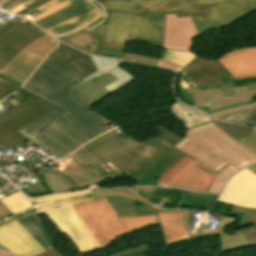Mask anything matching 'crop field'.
<instances>
[{"mask_svg": "<svg viewBox=\"0 0 256 256\" xmlns=\"http://www.w3.org/2000/svg\"><path fill=\"white\" fill-rule=\"evenodd\" d=\"M71 239L80 254L107 247L129 233L107 197L46 213Z\"/></svg>", "mask_w": 256, "mask_h": 256, "instance_id": "obj_1", "label": "crop field"}, {"mask_svg": "<svg viewBox=\"0 0 256 256\" xmlns=\"http://www.w3.org/2000/svg\"><path fill=\"white\" fill-rule=\"evenodd\" d=\"M186 134L184 140L175 147L219 172L210 192L219 193L233 173L256 162L254 153L238 141L235 142L212 122L189 129Z\"/></svg>", "mask_w": 256, "mask_h": 256, "instance_id": "obj_2", "label": "crop field"}, {"mask_svg": "<svg viewBox=\"0 0 256 256\" xmlns=\"http://www.w3.org/2000/svg\"><path fill=\"white\" fill-rule=\"evenodd\" d=\"M81 83L83 80L72 71L45 59L23 87L66 108L102 134L111 130L107 125L112 121L94 112L88 100L72 89Z\"/></svg>", "mask_w": 256, "mask_h": 256, "instance_id": "obj_3", "label": "crop field"}, {"mask_svg": "<svg viewBox=\"0 0 256 256\" xmlns=\"http://www.w3.org/2000/svg\"><path fill=\"white\" fill-rule=\"evenodd\" d=\"M165 15L107 13L101 47L124 51L130 41L145 40L162 48Z\"/></svg>", "mask_w": 256, "mask_h": 256, "instance_id": "obj_4", "label": "crop field"}, {"mask_svg": "<svg viewBox=\"0 0 256 256\" xmlns=\"http://www.w3.org/2000/svg\"><path fill=\"white\" fill-rule=\"evenodd\" d=\"M173 190V189H169ZM163 188H114L92 190L95 198L108 196L119 218L150 215L162 211H184V225L191 239L198 238V234H204L201 228H207L203 225L198 226L194 233H191V227L187 225L190 217L187 208H163L164 203H168V198L160 197L164 195ZM199 237V238H203Z\"/></svg>", "mask_w": 256, "mask_h": 256, "instance_id": "obj_5", "label": "crop field"}, {"mask_svg": "<svg viewBox=\"0 0 256 256\" xmlns=\"http://www.w3.org/2000/svg\"><path fill=\"white\" fill-rule=\"evenodd\" d=\"M100 135L102 134L68 112L29 139L65 158Z\"/></svg>", "mask_w": 256, "mask_h": 256, "instance_id": "obj_6", "label": "crop field"}, {"mask_svg": "<svg viewBox=\"0 0 256 256\" xmlns=\"http://www.w3.org/2000/svg\"><path fill=\"white\" fill-rule=\"evenodd\" d=\"M155 130L162 134L143 142L144 145L134 150L154 163L134 180L136 185H156L158 180L178 161L185 156L191 158L173 147L183 138L163 125L157 126Z\"/></svg>", "mask_w": 256, "mask_h": 256, "instance_id": "obj_7", "label": "crop field"}, {"mask_svg": "<svg viewBox=\"0 0 256 256\" xmlns=\"http://www.w3.org/2000/svg\"><path fill=\"white\" fill-rule=\"evenodd\" d=\"M202 15L192 16L199 35L222 29L256 11V0H229L212 6H199Z\"/></svg>", "mask_w": 256, "mask_h": 256, "instance_id": "obj_8", "label": "crop field"}, {"mask_svg": "<svg viewBox=\"0 0 256 256\" xmlns=\"http://www.w3.org/2000/svg\"><path fill=\"white\" fill-rule=\"evenodd\" d=\"M141 145L142 143L129 137L122 139L112 130L88 142L74 153L93 167L115 160Z\"/></svg>", "mask_w": 256, "mask_h": 256, "instance_id": "obj_9", "label": "crop field"}, {"mask_svg": "<svg viewBox=\"0 0 256 256\" xmlns=\"http://www.w3.org/2000/svg\"><path fill=\"white\" fill-rule=\"evenodd\" d=\"M100 3L106 12L177 13L178 17L201 14L191 0H112Z\"/></svg>", "mask_w": 256, "mask_h": 256, "instance_id": "obj_10", "label": "crop field"}, {"mask_svg": "<svg viewBox=\"0 0 256 256\" xmlns=\"http://www.w3.org/2000/svg\"><path fill=\"white\" fill-rule=\"evenodd\" d=\"M217 173L185 157L160 179L158 185L207 191Z\"/></svg>", "mask_w": 256, "mask_h": 256, "instance_id": "obj_11", "label": "crop field"}, {"mask_svg": "<svg viewBox=\"0 0 256 256\" xmlns=\"http://www.w3.org/2000/svg\"><path fill=\"white\" fill-rule=\"evenodd\" d=\"M34 25L11 19L0 27V70L24 47L43 35Z\"/></svg>", "mask_w": 256, "mask_h": 256, "instance_id": "obj_12", "label": "crop field"}, {"mask_svg": "<svg viewBox=\"0 0 256 256\" xmlns=\"http://www.w3.org/2000/svg\"><path fill=\"white\" fill-rule=\"evenodd\" d=\"M56 47V41L45 34L24 48L1 72L24 82Z\"/></svg>", "mask_w": 256, "mask_h": 256, "instance_id": "obj_13", "label": "crop field"}, {"mask_svg": "<svg viewBox=\"0 0 256 256\" xmlns=\"http://www.w3.org/2000/svg\"><path fill=\"white\" fill-rule=\"evenodd\" d=\"M55 106L41 99L24 111L0 122V146L10 149L27 139L16 130L42 116Z\"/></svg>", "mask_w": 256, "mask_h": 256, "instance_id": "obj_14", "label": "crop field"}, {"mask_svg": "<svg viewBox=\"0 0 256 256\" xmlns=\"http://www.w3.org/2000/svg\"><path fill=\"white\" fill-rule=\"evenodd\" d=\"M0 247L17 256H36L45 251L16 220L0 226Z\"/></svg>", "mask_w": 256, "mask_h": 256, "instance_id": "obj_15", "label": "crop field"}, {"mask_svg": "<svg viewBox=\"0 0 256 256\" xmlns=\"http://www.w3.org/2000/svg\"><path fill=\"white\" fill-rule=\"evenodd\" d=\"M219 200L256 208V174L247 168L237 173L229 181Z\"/></svg>", "mask_w": 256, "mask_h": 256, "instance_id": "obj_16", "label": "crop field"}, {"mask_svg": "<svg viewBox=\"0 0 256 256\" xmlns=\"http://www.w3.org/2000/svg\"><path fill=\"white\" fill-rule=\"evenodd\" d=\"M197 36L191 16L177 18L176 14L166 15L163 48L190 50L192 40Z\"/></svg>", "mask_w": 256, "mask_h": 256, "instance_id": "obj_17", "label": "crop field"}, {"mask_svg": "<svg viewBox=\"0 0 256 256\" xmlns=\"http://www.w3.org/2000/svg\"><path fill=\"white\" fill-rule=\"evenodd\" d=\"M181 71L196 85H224L221 79L231 75L217 60L209 61L199 57L193 59Z\"/></svg>", "mask_w": 256, "mask_h": 256, "instance_id": "obj_18", "label": "crop field"}, {"mask_svg": "<svg viewBox=\"0 0 256 256\" xmlns=\"http://www.w3.org/2000/svg\"><path fill=\"white\" fill-rule=\"evenodd\" d=\"M59 44L60 45L48 55L47 59L55 61L72 70L82 79L97 71L89 55L79 53L64 44Z\"/></svg>", "mask_w": 256, "mask_h": 256, "instance_id": "obj_19", "label": "crop field"}, {"mask_svg": "<svg viewBox=\"0 0 256 256\" xmlns=\"http://www.w3.org/2000/svg\"><path fill=\"white\" fill-rule=\"evenodd\" d=\"M151 164L136 152H131L115 161L93 167L102 176L120 171L125 176L134 180L143 173Z\"/></svg>", "mask_w": 256, "mask_h": 256, "instance_id": "obj_20", "label": "crop field"}, {"mask_svg": "<svg viewBox=\"0 0 256 256\" xmlns=\"http://www.w3.org/2000/svg\"><path fill=\"white\" fill-rule=\"evenodd\" d=\"M217 60L234 78L256 75V47L233 51Z\"/></svg>", "mask_w": 256, "mask_h": 256, "instance_id": "obj_21", "label": "crop field"}, {"mask_svg": "<svg viewBox=\"0 0 256 256\" xmlns=\"http://www.w3.org/2000/svg\"><path fill=\"white\" fill-rule=\"evenodd\" d=\"M255 91L256 89L247 90L246 87L236 88L235 96L225 98H222L221 89L195 92V106L204 103L212 111L247 102Z\"/></svg>", "mask_w": 256, "mask_h": 256, "instance_id": "obj_22", "label": "crop field"}, {"mask_svg": "<svg viewBox=\"0 0 256 256\" xmlns=\"http://www.w3.org/2000/svg\"><path fill=\"white\" fill-rule=\"evenodd\" d=\"M156 215L165 234L166 245L190 239L183 225V212H162Z\"/></svg>", "mask_w": 256, "mask_h": 256, "instance_id": "obj_23", "label": "crop field"}, {"mask_svg": "<svg viewBox=\"0 0 256 256\" xmlns=\"http://www.w3.org/2000/svg\"><path fill=\"white\" fill-rule=\"evenodd\" d=\"M89 199H93L91 190L47 196L33 201L37 205L38 213H44Z\"/></svg>", "mask_w": 256, "mask_h": 256, "instance_id": "obj_24", "label": "crop field"}, {"mask_svg": "<svg viewBox=\"0 0 256 256\" xmlns=\"http://www.w3.org/2000/svg\"><path fill=\"white\" fill-rule=\"evenodd\" d=\"M216 216L221 220L215 230L211 231L208 229H203V231L206 237L219 235L221 252L248 246L240 230L236 231V235L234 236L222 234V230L224 228L230 227L237 222L236 218L226 217L220 214H217Z\"/></svg>", "mask_w": 256, "mask_h": 256, "instance_id": "obj_25", "label": "crop field"}, {"mask_svg": "<svg viewBox=\"0 0 256 256\" xmlns=\"http://www.w3.org/2000/svg\"><path fill=\"white\" fill-rule=\"evenodd\" d=\"M115 80L117 79L105 71L74 89L83 94L89 100L90 104L93 105L111 94L102 87Z\"/></svg>", "mask_w": 256, "mask_h": 256, "instance_id": "obj_26", "label": "crop field"}, {"mask_svg": "<svg viewBox=\"0 0 256 256\" xmlns=\"http://www.w3.org/2000/svg\"><path fill=\"white\" fill-rule=\"evenodd\" d=\"M19 224L46 250L54 246L37 213L17 219Z\"/></svg>", "mask_w": 256, "mask_h": 256, "instance_id": "obj_27", "label": "crop field"}, {"mask_svg": "<svg viewBox=\"0 0 256 256\" xmlns=\"http://www.w3.org/2000/svg\"><path fill=\"white\" fill-rule=\"evenodd\" d=\"M92 8H94V6H92L86 0H81L69 7H66V8L36 22V24L45 30L51 26H54L56 24L66 21L74 16L84 13Z\"/></svg>", "mask_w": 256, "mask_h": 256, "instance_id": "obj_28", "label": "crop field"}, {"mask_svg": "<svg viewBox=\"0 0 256 256\" xmlns=\"http://www.w3.org/2000/svg\"><path fill=\"white\" fill-rule=\"evenodd\" d=\"M100 15H102V14L95 8L89 12H86L82 15L74 17L64 23H61L54 27H51L45 31L48 32L53 37H55L60 34L66 33L68 31L77 29V28L83 26L84 24L92 21L93 19L97 18Z\"/></svg>", "mask_w": 256, "mask_h": 256, "instance_id": "obj_29", "label": "crop field"}, {"mask_svg": "<svg viewBox=\"0 0 256 256\" xmlns=\"http://www.w3.org/2000/svg\"><path fill=\"white\" fill-rule=\"evenodd\" d=\"M170 109L172 113L183 122L186 129L213 120L194 109L179 104L178 102L171 104Z\"/></svg>", "mask_w": 256, "mask_h": 256, "instance_id": "obj_30", "label": "crop field"}, {"mask_svg": "<svg viewBox=\"0 0 256 256\" xmlns=\"http://www.w3.org/2000/svg\"><path fill=\"white\" fill-rule=\"evenodd\" d=\"M58 40L73 45L87 53H93L96 44L98 42L89 32H87L84 28L57 38Z\"/></svg>", "mask_w": 256, "mask_h": 256, "instance_id": "obj_31", "label": "crop field"}, {"mask_svg": "<svg viewBox=\"0 0 256 256\" xmlns=\"http://www.w3.org/2000/svg\"><path fill=\"white\" fill-rule=\"evenodd\" d=\"M66 112V109L57 106L42 117L38 118L37 120L33 121L32 123L28 124L27 126L23 127L18 131L29 138L45 126L58 119Z\"/></svg>", "mask_w": 256, "mask_h": 256, "instance_id": "obj_32", "label": "crop field"}, {"mask_svg": "<svg viewBox=\"0 0 256 256\" xmlns=\"http://www.w3.org/2000/svg\"><path fill=\"white\" fill-rule=\"evenodd\" d=\"M43 175L47 185L50 187L53 193L77 190V188L68 178L54 168Z\"/></svg>", "mask_w": 256, "mask_h": 256, "instance_id": "obj_33", "label": "crop field"}, {"mask_svg": "<svg viewBox=\"0 0 256 256\" xmlns=\"http://www.w3.org/2000/svg\"><path fill=\"white\" fill-rule=\"evenodd\" d=\"M88 2H90L92 5H94L103 14L102 16L98 17L94 21L83 26L87 31H89L94 37H96L99 40L98 45L93 53V54L97 55L98 51L100 49V45H101V41H102L104 29H105L106 12L104 11L103 7L96 1L90 0ZM74 31H76V30H74ZM74 31H71V32H74ZM71 32H68V33H71ZM68 33H66V34H68ZM63 35H65V34H63ZM60 36H62V35H60ZM55 38H57V37H55Z\"/></svg>", "mask_w": 256, "mask_h": 256, "instance_id": "obj_34", "label": "crop field"}, {"mask_svg": "<svg viewBox=\"0 0 256 256\" xmlns=\"http://www.w3.org/2000/svg\"><path fill=\"white\" fill-rule=\"evenodd\" d=\"M229 216L237 217L238 223L230 229L238 230L256 224V209L234 206Z\"/></svg>", "mask_w": 256, "mask_h": 256, "instance_id": "obj_35", "label": "crop field"}, {"mask_svg": "<svg viewBox=\"0 0 256 256\" xmlns=\"http://www.w3.org/2000/svg\"><path fill=\"white\" fill-rule=\"evenodd\" d=\"M7 208L14 214H18L35 206L25 195L20 191L1 200Z\"/></svg>", "mask_w": 256, "mask_h": 256, "instance_id": "obj_36", "label": "crop field"}, {"mask_svg": "<svg viewBox=\"0 0 256 256\" xmlns=\"http://www.w3.org/2000/svg\"><path fill=\"white\" fill-rule=\"evenodd\" d=\"M76 1H78V0H52L44 5L39 6L38 8L22 15V17L27 18L25 15L37 10L40 14L29 19V20L35 22V21H37L47 15H50L66 6L76 2Z\"/></svg>", "mask_w": 256, "mask_h": 256, "instance_id": "obj_37", "label": "crop field"}, {"mask_svg": "<svg viewBox=\"0 0 256 256\" xmlns=\"http://www.w3.org/2000/svg\"><path fill=\"white\" fill-rule=\"evenodd\" d=\"M216 195L187 191L180 205L200 206L208 209Z\"/></svg>", "mask_w": 256, "mask_h": 256, "instance_id": "obj_38", "label": "crop field"}, {"mask_svg": "<svg viewBox=\"0 0 256 256\" xmlns=\"http://www.w3.org/2000/svg\"><path fill=\"white\" fill-rule=\"evenodd\" d=\"M121 221L126 226V228L129 230V232H133L140 228L158 223L155 215L124 218V219H121Z\"/></svg>", "mask_w": 256, "mask_h": 256, "instance_id": "obj_39", "label": "crop field"}, {"mask_svg": "<svg viewBox=\"0 0 256 256\" xmlns=\"http://www.w3.org/2000/svg\"><path fill=\"white\" fill-rule=\"evenodd\" d=\"M212 122L216 124L220 129H222L225 133H227L235 141L254 131L250 128L242 127L239 125H231L216 120Z\"/></svg>", "mask_w": 256, "mask_h": 256, "instance_id": "obj_40", "label": "crop field"}, {"mask_svg": "<svg viewBox=\"0 0 256 256\" xmlns=\"http://www.w3.org/2000/svg\"><path fill=\"white\" fill-rule=\"evenodd\" d=\"M109 73L118 79L117 81L103 87V88L107 89L108 91H110L111 93L113 91L119 89L120 87L124 86L126 83L135 79L134 76H132L131 74H129L128 72H126L125 70H123L120 67H118L117 69H115Z\"/></svg>", "mask_w": 256, "mask_h": 256, "instance_id": "obj_41", "label": "crop field"}, {"mask_svg": "<svg viewBox=\"0 0 256 256\" xmlns=\"http://www.w3.org/2000/svg\"><path fill=\"white\" fill-rule=\"evenodd\" d=\"M195 56L196 55L191 52H173L165 50L161 59L183 66Z\"/></svg>", "mask_w": 256, "mask_h": 256, "instance_id": "obj_42", "label": "crop field"}, {"mask_svg": "<svg viewBox=\"0 0 256 256\" xmlns=\"http://www.w3.org/2000/svg\"><path fill=\"white\" fill-rule=\"evenodd\" d=\"M90 57H91L92 61L94 62L98 71L96 73L90 75L89 77L83 79L84 82L105 70L108 72V71L118 67L121 64V62H119V61L107 60V59L98 58V57H94V56H90Z\"/></svg>", "mask_w": 256, "mask_h": 256, "instance_id": "obj_43", "label": "crop field"}, {"mask_svg": "<svg viewBox=\"0 0 256 256\" xmlns=\"http://www.w3.org/2000/svg\"><path fill=\"white\" fill-rule=\"evenodd\" d=\"M39 0H0V8L17 13Z\"/></svg>", "mask_w": 256, "mask_h": 256, "instance_id": "obj_44", "label": "crop field"}, {"mask_svg": "<svg viewBox=\"0 0 256 256\" xmlns=\"http://www.w3.org/2000/svg\"><path fill=\"white\" fill-rule=\"evenodd\" d=\"M227 121H237L256 127V109L247 110L228 117L220 118Z\"/></svg>", "mask_w": 256, "mask_h": 256, "instance_id": "obj_45", "label": "crop field"}, {"mask_svg": "<svg viewBox=\"0 0 256 256\" xmlns=\"http://www.w3.org/2000/svg\"><path fill=\"white\" fill-rule=\"evenodd\" d=\"M123 60L156 66L159 58L125 52Z\"/></svg>", "mask_w": 256, "mask_h": 256, "instance_id": "obj_46", "label": "crop field"}, {"mask_svg": "<svg viewBox=\"0 0 256 256\" xmlns=\"http://www.w3.org/2000/svg\"><path fill=\"white\" fill-rule=\"evenodd\" d=\"M13 88L18 90L19 92L25 94V95H27V96L37 100V101L39 99H41V98L35 96L34 94L30 93L29 91L23 89L22 87L19 88V87L15 86V85H13V84H11L9 82H6V81L0 79V97H2L3 95L7 94L11 90H13Z\"/></svg>", "mask_w": 256, "mask_h": 256, "instance_id": "obj_47", "label": "crop field"}, {"mask_svg": "<svg viewBox=\"0 0 256 256\" xmlns=\"http://www.w3.org/2000/svg\"><path fill=\"white\" fill-rule=\"evenodd\" d=\"M151 251L147 243L121 251L110 256H137Z\"/></svg>", "mask_w": 256, "mask_h": 256, "instance_id": "obj_48", "label": "crop field"}, {"mask_svg": "<svg viewBox=\"0 0 256 256\" xmlns=\"http://www.w3.org/2000/svg\"><path fill=\"white\" fill-rule=\"evenodd\" d=\"M36 101L32 100V99H27L26 101L14 106L13 108L9 109L8 111L4 112L2 115H0V121L8 118L9 116L29 107L30 105H32L33 103H35Z\"/></svg>", "mask_w": 256, "mask_h": 256, "instance_id": "obj_49", "label": "crop field"}, {"mask_svg": "<svg viewBox=\"0 0 256 256\" xmlns=\"http://www.w3.org/2000/svg\"><path fill=\"white\" fill-rule=\"evenodd\" d=\"M255 107H256V102L247 104V105H243V106H239V107H235V108H231V109H227V110H223V111H219V112H215V113H211L210 115L219 118L222 116H227V115H230L233 113H237L239 111H244L246 109L255 108Z\"/></svg>", "mask_w": 256, "mask_h": 256, "instance_id": "obj_50", "label": "crop field"}, {"mask_svg": "<svg viewBox=\"0 0 256 256\" xmlns=\"http://www.w3.org/2000/svg\"><path fill=\"white\" fill-rule=\"evenodd\" d=\"M241 231L249 246L256 244V225L244 228Z\"/></svg>", "mask_w": 256, "mask_h": 256, "instance_id": "obj_51", "label": "crop field"}, {"mask_svg": "<svg viewBox=\"0 0 256 256\" xmlns=\"http://www.w3.org/2000/svg\"><path fill=\"white\" fill-rule=\"evenodd\" d=\"M256 154V131L238 140Z\"/></svg>", "mask_w": 256, "mask_h": 256, "instance_id": "obj_52", "label": "crop field"}, {"mask_svg": "<svg viewBox=\"0 0 256 256\" xmlns=\"http://www.w3.org/2000/svg\"><path fill=\"white\" fill-rule=\"evenodd\" d=\"M98 55L122 59V57H123V52L114 51V50H108V49H103V48H101Z\"/></svg>", "mask_w": 256, "mask_h": 256, "instance_id": "obj_53", "label": "crop field"}, {"mask_svg": "<svg viewBox=\"0 0 256 256\" xmlns=\"http://www.w3.org/2000/svg\"><path fill=\"white\" fill-rule=\"evenodd\" d=\"M157 66L158 67H162V68H167V69L175 70V71L178 70L181 67V66H178V65H175V64L163 61V60H159Z\"/></svg>", "mask_w": 256, "mask_h": 256, "instance_id": "obj_54", "label": "crop field"}, {"mask_svg": "<svg viewBox=\"0 0 256 256\" xmlns=\"http://www.w3.org/2000/svg\"><path fill=\"white\" fill-rule=\"evenodd\" d=\"M12 214L5 205L0 201V221L8 218L7 215Z\"/></svg>", "mask_w": 256, "mask_h": 256, "instance_id": "obj_55", "label": "crop field"}, {"mask_svg": "<svg viewBox=\"0 0 256 256\" xmlns=\"http://www.w3.org/2000/svg\"><path fill=\"white\" fill-rule=\"evenodd\" d=\"M196 4L198 5H201V4H204V3H207L209 5H212V4H216V3H219V2H223V1H226V0H193Z\"/></svg>", "mask_w": 256, "mask_h": 256, "instance_id": "obj_56", "label": "crop field"}, {"mask_svg": "<svg viewBox=\"0 0 256 256\" xmlns=\"http://www.w3.org/2000/svg\"><path fill=\"white\" fill-rule=\"evenodd\" d=\"M54 248V247H53ZM53 248L43 252L42 254L38 255V256H62L61 254H59L56 250H54Z\"/></svg>", "mask_w": 256, "mask_h": 256, "instance_id": "obj_57", "label": "crop field"}, {"mask_svg": "<svg viewBox=\"0 0 256 256\" xmlns=\"http://www.w3.org/2000/svg\"><path fill=\"white\" fill-rule=\"evenodd\" d=\"M0 78L4 79V80H6V81H9V82H11V83H13V84H15V85H17V86H19V87H21V85H22L21 83L15 81V80H13V79H10V78H8V77L2 75V74H0Z\"/></svg>", "mask_w": 256, "mask_h": 256, "instance_id": "obj_58", "label": "crop field"}, {"mask_svg": "<svg viewBox=\"0 0 256 256\" xmlns=\"http://www.w3.org/2000/svg\"><path fill=\"white\" fill-rule=\"evenodd\" d=\"M48 1H50V0H41V1L37 2V3H35L34 5L30 6V8H31V10H32V9L38 7L39 5H41V4H43V3H46V2H48Z\"/></svg>", "mask_w": 256, "mask_h": 256, "instance_id": "obj_59", "label": "crop field"}, {"mask_svg": "<svg viewBox=\"0 0 256 256\" xmlns=\"http://www.w3.org/2000/svg\"><path fill=\"white\" fill-rule=\"evenodd\" d=\"M249 169H251L252 171H254L256 173V165L250 166L248 167Z\"/></svg>", "mask_w": 256, "mask_h": 256, "instance_id": "obj_60", "label": "crop field"}, {"mask_svg": "<svg viewBox=\"0 0 256 256\" xmlns=\"http://www.w3.org/2000/svg\"><path fill=\"white\" fill-rule=\"evenodd\" d=\"M97 2H100V1H106V0H96Z\"/></svg>", "mask_w": 256, "mask_h": 256, "instance_id": "obj_61", "label": "crop field"}]
</instances>
